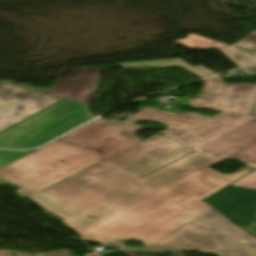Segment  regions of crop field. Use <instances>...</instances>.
<instances>
[{"label":"crop field","instance_id":"dafd665d","mask_svg":"<svg viewBox=\"0 0 256 256\" xmlns=\"http://www.w3.org/2000/svg\"><path fill=\"white\" fill-rule=\"evenodd\" d=\"M173 101L174 102H180V104L182 106L190 107L186 98H180V99H176V100H173Z\"/></svg>","mask_w":256,"mask_h":256},{"label":"crop field","instance_id":"34b2d1b8","mask_svg":"<svg viewBox=\"0 0 256 256\" xmlns=\"http://www.w3.org/2000/svg\"><path fill=\"white\" fill-rule=\"evenodd\" d=\"M94 117L86 104L65 99L1 133L0 147L34 148Z\"/></svg>","mask_w":256,"mask_h":256},{"label":"crop field","instance_id":"5a996713","mask_svg":"<svg viewBox=\"0 0 256 256\" xmlns=\"http://www.w3.org/2000/svg\"><path fill=\"white\" fill-rule=\"evenodd\" d=\"M256 142V116L250 115L191 147L215 160H222Z\"/></svg>","mask_w":256,"mask_h":256},{"label":"crop field","instance_id":"3316defc","mask_svg":"<svg viewBox=\"0 0 256 256\" xmlns=\"http://www.w3.org/2000/svg\"><path fill=\"white\" fill-rule=\"evenodd\" d=\"M102 70L103 69L97 68L78 69L65 67L50 90L36 91L88 104L98 87V81ZM5 82L35 90L33 87L9 81H0V85Z\"/></svg>","mask_w":256,"mask_h":256},{"label":"crop field","instance_id":"e52e79f7","mask_svg":"<svg viewBox=\"0 0 256 256\" xmlns=\"http://www.w3.org/2000/svg\"><path fill=\"white\" fill-rule=\"evenodd\" d=\"M200 99L188 100L193 109H209L249 114L256 98V85H224L222 77L204 81Z\"/></svg>","mask_w":256,"mask_h":256},{"label":"crop field","instance_id":"4a817a6b","mask_svg":"<svg viewBox=\"0 0 256 256\" xmlns=\"http://www.w3.org/2000/svg\"><path fill=\"white\" fill-rule=\"evenodd\" d=\"M0 256H72L68 250L40 253V254H25L16 251H0Z\"/></svg>","mask_w":256,"mask_h":256},{"label":"crop field","instance_id":"ac0d7876","mask_svg":"<svg viewBox=\"0 0 256 256\" xmlns=\"http://www.w3.org/2000/svg\"><path fill=\"white\" fill-rule=\"evenodd\" d=\"M101 161L86 149L57 140L0 170V179L27 197Z\"/></svg>","mask_w":256,"mask_h":256},{"label":"crop field","instance_id":"d8731c3e","mask_svg":"<svg viewBox=\"0 0 256 256\" xmlns=\"http://www.w3.org/2000/svg\"><path fill=\"white\" fill-rule=\"evenodd\" d=\"M61 99L63 98L42 94L7 83L1 85L0 131L30 117Z\"/></svg>","mask_w":256,"mask_h":256},{"label":"crop field","instance_id":"dd49c442","mask_svg":"<svg viewBox=\"0 0 256 256\" xmlns=\"http://www.w3.org/2000/svg\"><path fill=\"white\" fill-rule=\"evenodd\" d=\"M142 128L97 119L61 139L84 147L91 154L103 160L140 142L134 132Z\"/></svg>","mask_w":256,"mask_h":256},{"label":"crop field","instance_id":"d1516ede","mask_svg":"<svg viewBox=\"0 0 256 256\" xmlns=\"http://www.w3.org/2000/svg\"><path fill=\"white\" fill-rule=\"evenodd\" d=\"M219 51L238 67L256 62V31L238 43Z\"/></svg>","mask_w":256,"mask_h":256},{"label":"crop field","instance_id":"00972430","mask_svg":"<svg viewBox=\"0 0 256 256\" xmlns=\"http://www.w3.org/2000/svg\"><path fill=\"white\" fill-rule=\"evenodd\" d=\"M252 114L256 115V103H255V107H254Z\"/></svg>","mask_w":256,"mask_h":256},{"label":"crop field","instance_id":"d9b57169","mask_svg":"<svg viewBox=\"0 0 256 256\" xmlns=\"http://www.w3.org/2000/svg\"><path fill=\"white\" fill-rule=\"evenodd\" d=\"M229 158L242 161L256 167V143L230 156Z\"/></svg>","mask_w":256,"mask_h":256},{"label":"crop field","instance_id":"22f410ed","mask_svg":"<svg viewBox=\"0 0 256 256\" xmlns=\"http://www.w3.org/2000/svg\"><path fill=\"white\" fill-rule=\"evenodd\" d=\"M116 66H120L123 68H148V67H169V66H180L202 78L216 75V73L202 67L197 66L193 67L186 64L181 59H169V60H160V61H150V62H140V63H123L118 64Z\"/></svg>","mask_w":256,"mask_h":256},{"label":"crop field","instance_id":"92a150f3","mask_svg":"<svg viewBox=\"0 0 256 256\" xmlns=\"http://www.w3.org/2000/svg\"><path fill=\"white\" fill-rule=\"evenodd\" d=\"M244 72L256 74V65L242 69Z\"/></svg>","mask_w":256,"mask_h":256},{"label":"crop field","instance_id":"cbeb9de0","mask_svg":"<svg viewBox=\"0 0 256 256\" xmlns=\"http://www.w3.org/2000/svg\"><path fill=\"white\" fill-rule=\"evenodd\" d=\"M220 256H256V238L249 235L221 251Z\"/></svg>","mask_w":256,"mask_h":256},{"label":"crop field","instance_id":"214f88e0","mask_svg":"<svg viewBox=\"0 0 256 256\" xmlns=\"http://www.w3.org/2000/svg\"><path fill=\"white\" fill-rule=\"evenodd\" d=\"M161 124L167 126L168 128H171V129H186L187 130L192 127V126L175 124V123H161Z\"/></svg>","mask_w":256,"mask_h":256},{"label":"crop field","instance_id":"412701ff","mask_svg":"<svg viewBox=\"0 0 256 256\" xmlns=\"http://www.w3.org/2000/svg\"><path fill=\"white\" fill-rule=\"evenodd\" d=\"M249 233L211 210L145 250L204 249L221 251Z\"/></svg>","mask_w":256,"mask_h":256},{"label":"crop field","instance_id":"28ad6ade","mask_svg":"<svg viewBox=\"0 0 256 256\" xmlns=\"http://www.w3.org/2000/svg\"><path fill=\"white\" fill-rule=\"evenodd\" d=\"M205 200L241 228L254 220L256 190L228 186Z\"/></svg>","mask_w":256,"mask_h":256},{"label":"crop field","instance_id":"8a807250","mask_svg":"<svg viewBox=\"0 0 256 256\" xmlns=\"http://www.w3.org/2000/svg\"><path fill=\"white\" fill-rule=\"evenodd\" d=\"M154 135L30 199L63 219L86 241L132 239L152 245L209 210L202 199L254 168L223 175L197 152Z\"/></svg>","mask_w":256,"mask_h":256},{"label":"crop field","instance_id":"f4fd0767","mask_svg":"<svg viewBox=\"0 0 256 256\" xmlns=\"http://www.w3.org/2000/svg\"><path fill=\"white\" fill-rule=\"evenodd\" d=\"M246 116L248 115L223 112L210 118L194 113L175 114L145 107L132 117L130 116L131 118H127L128 120L125 122H176L195 126L188 131L167 129L161 132L162 134L191 147Z\"/></svg>","mask_w":256,"mask_h":256},{"label":"crop field","instance_id":"5142ce71","mask_svg":"<svg viewBox=\"0 0 256 256\" xmlns=\"http://www.w3.org/2000/svg\"><path fill=\"white\" fill-rule=\"evenodd\" d=\"M176 41L183 44L184 46H186L191 50L219 48V47L228 46V45H225L216 41H212L206 38H202L193 34H189V36L184 40H176Z\"/></svg>","mask_w":256,"mask_h":256},{"label":"crop field","instance_id":"bc2a9ffb","mask_svg":"<svg viewBox=\"0 0 256 256\" xmlns=\"http://www.w3.org/2000/svg\"><path fill=\"white\" fill-rule=\"evenodd\" d=\"M232 185L256 189V171L236 181Z\"/></svg>","mask_w":256,"mask_h":256},{"label":"crop field","instance_id":"733c2abd","mask_svg":"<svg viewBox=\"0 0 256 256\" xmlns=\"http://www.w3.org/2000/svg\"><path fill=\"white\" fill-rule=\"evenodd\" d=\"M29 152H15V151H5L0 150V169L6 165L18 160L19 158L29 154ZM0 185H7L2 180H0Z\"/></svg>","mask_w":256,"mask_h":256}]
</instances>
